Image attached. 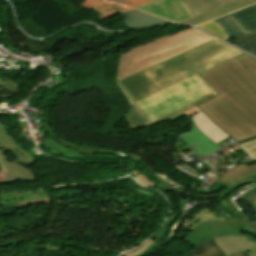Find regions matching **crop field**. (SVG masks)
<instances>
[{"mask_svg": "<svg viewBox=\"0 0 256 256\" xmlns=\"http://www.w3.org/2000/svg\"><path fill=\"white\" fill-rule=\"evenodd\" d=\"M188 256H227L215 243V239L186 253Z\"/></svg>", "mask_w": 256, "mask_h": 256, "instance_id": "crop-field-15", "label": "crop field"}, {"mask_svg": "<svg viewBox=\"0 0 256 256\" xmlns=\"http://www.w3.org/2000/svg\"><path fill=\"white\" fill-rule=\"evenodd\" d=\"M200 76L219 95L197 107L238 142L256 137V60L243 54Z\"/></svg>", "mask_w": 256, "mask_h": 256, "instance_id": "crop-field-2", "label": "crop field"}, {"mask_svg": "<svg viewBox=\"0 0 256 256\" xmlns=\"http://www.w3.org/2000/svg\"><path fill=\"white\" fill-rule=\"evenodd\" d=\"M150 1L152 0H124L122 4L130 5L136 8Z\"/></svg>", "mask_w": 256, "mask_h": 256, "instance_id": "crop-field-26", "label": "crop field"}, {"mask_svg": "<svg viewBox=\"0 0 256 256\" xmlns=\"http://www.w3.org/2000/svg\"><path fill=\"white\" fill-rule=\"evenodd\" d=\"M239 146L252 160H256V140L239 144Z\"/></svg>", "mask_w": 256, "mask_h": 256, "instance_id": "crop-field-22", "label": "crop field"}, {"mask_svg": "<svg viewBox=\"0 0 256 256\" xmlns=\"http://www.w3.org/2000/svg\"><path fill=\"white\" fill-rule=\"evenodd\" d=\"M223 206L236 217L237 221L243 223L247 227L252 228L256 231V222L250 220L243 212H238V210L233 206L232 202L223 204Z\"/></svg>", "mask_w": 256, "mask_h": 256, "instance_id": "crop-field-19", "label": "crop field"}, {"mask_svg": "<svg viewBox=\"0 0 256 256\" xmlns=\"http://www.w3.org/2000/svg\"><path fill=\"white\" fill-rule=\"evenodd\" d=\"M223 222H225L229 226H233V227L237 228L240 231H244L245 229H247V227H245L244 225L238 223L235 218L234 219H228L227 218Z\"/></svg>", "mask_w": 256, "mask_h": 256, "instance_id": "crop-field-27", "label": "crop field"}, {"mask_svg": "<svg viewBox=\"0 0 256 256\" xmlns=\"http://www.w3.org/2000/svg\"><path fill=\"white\" fill-rule=\"evenodd\" d=\"M245 233L236 230L233 227L227 226L225 223L220 221H208L197 225L185 241L195 247L222 235H240L243 236Z\"/></svg>", "mask_w": 256, "mask_h": 256, "instance_id": "crop-field-4", "label": "crop field"}, {"mask_svg": "<svg viewBox=\"0 0 256 256\" xmlns=\"http://www.w3.org/2000/svg\"><path fill=\"white\" fill-rule=\"evenodd\" d=\"M255 204H256V202H255Z\"/></svg>", "mask_w": 256, "mask_h": 256, "instance_id": "crop-field-32", "label": "crop field"}, {"mask_svg": "<svg viewBox=\"0 0 256 256\" xmlns=\"http://www.w3.org/2000/svg\"><path fill=\"white\" fill-rule=\"evenodd\" d=\"M189 119L192 122V130L179 136L199 159L209 157L212 153L223 149L202 134L194 125L191 117Z\"/></svg>", "mask_w": 256, "mask_h": 256, "instance_id": "crop-field-6", "label": "crop field"}, {"mask_svg": "<svg viewBox=\"0 0 256 256\" xmlns=\"http://www.w3.org/2000/svg\"><path fill=\"white\" fill-rule=\"evenodd\" d=\"M1 169V168H0Z\"/></svg>", "mask_w": 256, "mask_h": 256, "instance_id": "crop-field-33", "label": "crop field"}, {"mask_svg": "<svg viewBox=\"0 0 256 256\" xmlns=\"http://www.w3.org/2000/svg\"><path fill=\"white\" fill-rule=\"evenodd\" d=\"M236 46L252 53L256 56V32L246 34L235 39Z\"/></svg>", "mask_w": 256, "mask_h": 256, "instance_id": "crop-field-17", "label": "crop field"}, {"mask_svg": "<svg viewBox=\"0 0 256 256\" xmlns=\"http://www.w3.org/2000/svg\"><path fill=\"white\" fill-rule=\"evenodd\" d=\"M198 112H200V110L195 107V108H193V109H191V110H189V111L184 112L183 114H184L185 116H187V117H190V116H192V115H194V114H196V113H198Z\"/></svg>", "mask_w": 256, "mask_h": 256, "instance_id": "crop-field-28", "label": "crop field"}, {"mask_svg": "<svg viewBox=\"0 0 256 256\" xmlns=\"http://www.w3.org/2000/svg\"><path fill=\"white\" fill-rule=\"evenodd\" d=\"M214 38L194 29L157 39L120 55L116 81L179 55Z\"/></svg>", "mask_w": 256, "mask_h": 256, "instance_id": "crop-field-3", "label": "crop field"}, {"mask_svg": "<svg viewBox=\"0 0 256 256\" xmlns=\"http://www.w3.org/2000/svg\"><path fill=\"white\" fill-rule=\"evenodd\" d=\"M218 245L227 253L247 252L249 256H256V237L245 234L240 236H223L216 238Z\"/></svg>", "mask_w": 256, "mask_h": 256, "instance_id": "crop-field-8", "label": "crop field"}, {"mask_svg": "<svg viewBox=\"0 0 256 256\" xmlns=\"http://www.w3.org/2000/svg\"><path fill=\"white\" fill-rule=\"evenodd\" d=\"M137 9L171 21L184 20L194 16L182 0H155Z\"/></svg>", "mask_w": 256, "mask_h": 256, "instance_id": "crop-field-5", "label": "crop field"}, {"mask_svg": "<svg viewBox=\"0 0 256 256\" xmlns=\"http://www.w3.org/2000/svg\"><path fill=\"white\" fill-rule=\"evenodd\" d=\"M194 15H199L213 8L234 0H183Z\"/></svg>", "mask_w": 256, "mask_h": 256, "instance_id": "crop-field-14", "label": "crop field"}, {"mask_svg": "<svg viewBox=\"0 0 256 256\" xmlns=\"http://www.w3.org/2000/svg\"><path fill=\"white\" fill-rule=\"evenodd\" d=\"M232 15L248 33L256 31V5L236 11Z\"/></svg>", "mask_w": 256, "mask_h": 256, "instance_id": "crop-field-13", "label": "crop field"}, {"mask_svg": "<svg viewBox=\"0 0 256 256\" xmlns=\"http://www.w3.org/2000/svg\"><path fill=\"white\" fill-rule=\"evenodd\" d=\"M177 215L178 214H173L170 217H168L165 224L162 226V228L160 230H158L153 235V237L161 238V239L164 238L166 236V233H167V227L170 226L176 220Z\"/></svg>", "mask_w": 256, "mask_h": 256, "instance_id": "crop-field-23", "label": "crop field"}, {"mask_svg": "<svg viewBox=\"0 0 256 256\" xmlns=\"http://www.w3.org/2000/svg\"><path fill=\"white\" fill-rule=\"evenodd\" d=\"M219 26V25H218ZM217 26V24L212 20L210 22H207L205 24H202L198 27L203 28L219 37H221L224 40H229V38L226 36V34Z\"/></svg>", "mask_w": 256, "mask_h": 256, "instance_id": "crop-field-21", "label": "crop field"}, {"mask_svg": "<svg viewBox=\"0 0 256 256\" xmlns=\"http://www.w3.org/2000/svg\"><path fill=\"white\" fill-rule=\"evenodd\" d=\"M114 1H117V2L121 3L123 0H114Z\"/></svg>", "mask_w": 256, "mask_h": 256, "instance_id": "crop-field-31", "label": "crop field"}, {"mask_svg": "<svg viewBox=\"0 0 256 256\" xmlns=\"http://www.w3.org/2000/svg\"><path fill=\"white\" fill-rule=\"evenodd\" d=\"M157 243L155 241L152 240H147L142 246L138 247L137 249L131 251V252H127L124 253L120 256H139L141 255L151 244Z\"/></svg>", "mask_w": 256, "mask_h": 256, "instance_id": "crop-field-24", "label": "crop field"}, {"mask_svg": "<svg viewBox=\"0 0 256 256\" xmlns=\"http://www.w3.org/2000/svg\"><path fill=\"white\" fill-rule=\"evenodd\" d=\"M239 199H246L249 204L253 207V211L256 214V208L253 205V201L256 200V188L249 190V192L245 193L243 196H241Z\"/></svg>", "mask_w": 256, "mask_h": 256, "instance_id": "crop-field-25", "label": "crop field"}, {"mask_svg": "<svg viewBox=\"0 0 256 256\" xmlns=\"http://www.w3.org/2000/svg\"><path fill=\"white\" fill-rule=\"evenodd\" d=\"M242 52L214 39L183 55L117 82L131 104V130L159 124L217 93L199 73Z\"/></svg>", "mask_w": 256, "mask_h": 256, "instance_id": "crop-field-1", "label": "crop field"}, {"mask_svg": "<svg viewBox=\"0 0 256 256\" xmlns=\"http://www.w3.org/2000/svg\"><path fill=\"white\" fill-rule=\"evenodd\" d=\"M214 21L230 39L247 33L231 14L215 19Z\"/></svg>", "mask_w": 256, "mask_h": 256, "instance_id": "crop-field-12", "label": "crop field"}, {"mask_svg": "<svg viewBox=\"0 0 256 256\" xmlns=\"http://www.w3.org/2000/svg\"><path fill=\"white\" fill-rule=\"evenodd\" d=\"M121 16H122V19L124 20L121 23L128 27L150 25V24H156V23H162V22H170L164 19H160L151 15H148L139 10L129 12Z\"/></svg>", "mask_w": 256, "mask_h": 256, "instance_id": "crop-field-11", "label": "crop field"}, {"mask_svg": "<svg viewBox=\"0 0 256 256\" xmlns=\"http://www.w3.org/2000/svg\"><path fill=\"white\" fill-rule=\"evenodd\" d=\"M256 3V0H237L232 3L226 4L224 6L218 7L214 10H211L209 12H206L202 15H199L197 17L188 19L186 21H182L181 23H187L191 25H198L205 21H208L210 19L216 18L218 16L227 14L229 12L235 11L237 9L243 8L245 6L251 5Z\"/></svg>", "mask_w": 256, "mask_h": 256, "instance_id": "crop-field-9", "label": "crop field"}, {"mask_svg": "<svg viewBox=\"0 0 256 256\" xmlns=\"http://www.w3.org/2000/svg\"><path fill=\"white\" fill-rule=\"evenodd\" d=\"M44 126L45 128L47 129V131L54 137L56 138L58 141H60L61 143L69 146V147H72L74 149H78L81 151L82 154L84 155H93L95 153H100L101 152V148H96V147H88V146H79V145H74L66 140H62L60 138H58L57 136L54 135V133L51 131L50 129V126L48 124V120H45L44 121Z\"/></svg>", "mask_w": 256, "mask_h": 256, "instance_id": "crop-field-18", "label": "crop field"}, {"mask_svg": "<svg viewBox=\"0 0 256 256\" xmlns=\"http://www.w3.org/2000/svg\"><path fill=\"white\" fill-rule=\"evenodd\" d=\"M135 163H136V161H134L133 164L127 166L128 169L130 170L131 174L134 176V178L137 181H139L141 184H143L149 188H154L156 183L150 181L149 179H146L144 174H142L137 169H135V166H134Z\"/></svg>", "mask_w": 256, "mask_h": 256, "instance_id": "crop-field-20", "label": "crop field"}, {"mask_svg": "<svg viewBox=\"0 0 256 256\" xmlns=\"http://www.w3.org/2000/svg\"><path fill=\"white\" fill-rule=\"evenodd\" d=\"M192 117L200 131L203 132L207 137H209L214 142L218 143L224 140L225 138L229 137L222 130L216 127L211 121H209L202 112Z\"/></svg>", "mask_w": 256, "mask_h": 256, "instance_id": "crop-field-10", "label": "crop field"}, {"mask_svg": "<svg viewBox=\"0 0 256 256\" xmlns=\"http://www.w3.org/2000/svg\"><path fill=\"white\" fill-rule=\"evenodd\" d=\"M244 232L247 233V234L256 236V232H254L253 230H251V229H249V228H248L247 230H245Z\"/></svg>", "mask_w": 256, "mask_h": 256, "instance_id": "crop-field-29", "label": "crop field"}, {"mask_svg": "<svg viewBox=\"0 0 256 256\" xmlns=\"http://www.w3.org/2000/svg\"><path fill=\"white\" fill-rule=\"evenodd\" d=\"M229 256H248L247 253H234V254H230Z\"/></svg>", "mask_w": 256, "mask_h": 256, "instance_id": "crop-field-30", "label": "crop field"}, {"mask_svg": "<svg viewBox=\"0 0 256 256\" xmlns=\"http://www.w3.org/2000/svg\"><path fill=\"white\" fill-rule=\"evenodd\" d=\"M256 164L247 166L246 163L233 167L228 170L221 178L218 179L221 183L230 189L225 191L221 196H227L232 190L243 185L256 183Z\"/></svg>", "mask_w": 256, "mask_h": 256, "instance_id": "crop-field-7", "label": "crop field"}, {"mask_svg": "<svg viewBox=\"0 0 256 256\" xmlns=\"http://www.w3.org/2000/svg\"><path fill=\"white\" fill-rule=\"evenodd\" d=\"M207 220H225L223 217L216 218L212 214H210V209H200L189 221V223L185 226L182 235H188L192 228L196 226L198 223L205 222Z\"/></svg>", "mask_w": 256, "mask_h": 256, "instance_id": "crop-field-16", "label": "crop field"}]
</instances>
